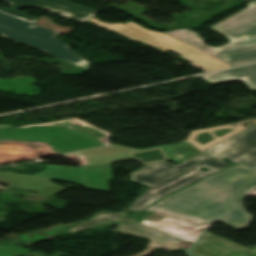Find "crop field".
Returning <instances> with one entry per match:
<instances>
[{
  "label": "crop field",
  "mask_w": 256,
  "mask_h": 256,
  "mask_svg": "<svg viewBox=\"0 0 256 256\" xmlns=\"http://www.w3.org/2000/svg\"><path fill=\"white\" fill-rule=\"evenodd\" d=\"M223 157L256 170V124L176 166L154 162L131 173L130 181L150 187L127 210L140 212L155 200L230 166L220 160ZM203 166L209 170H198Z\"/></svg>",
  "instance_id": "1"
},
{
  "label": "crop field",
  "mask_w": 256,
  "mask_h": 256,
  "mask_svg": "<svg viewBox=\"0 0 256 256\" xmlns=\"http://www.w3.org/2000/svg\"><path fill=\"white\" fill-rule=\"evenodd\" d=\"M9 3L11 7H0V11L11 16L23 19L30 23L36 21L35 18L18 12L24 8H42L78 21H86L96 15L98 11L87 9L76 4L61 0H1Z\"/></svg>",
  "instance_id": "7"
},
{
  "label": "crop field",
  "mask_w": 256,
  "mask_h": 256,
  "mask_svg": "<svg viewBox=\"0 0 256 256\" xmlns=\"http://www.w3.org/2000/svg\"><path fill=\"white\" fill-rule=\"evenodd\" d=\"M0 140L45 142L57 153L104 145L86 132L55 126H27L0 130Z\"/></svg>",
  "instance_id": "6"
},
{
  "label": "crop field",
  "mask_w": 256,
  "mask_h": 256,
  "mask_svg": "<svg viewBox=\"0 0 256 256\" xmlns=\"http://www.w3.org/2000/svg\"><path fill=\"white\" fill-rule=\"evenodd\" d=\"M230 125L192 131L187 141L167 145L189 142L196 146L207 149L212 145L232 136L236 132L245 129L240 124L234 127H231ZM63 156L66 158L76 157L85 164L81 165L80 168L46 165L47 169L35 174V176L83 185L86 186V189L108 191V180L112 179V162L130 158H135L137 160L140 158L138 161L145 164L154 161L167 160L151 148L137 150L119 145L63 154ZM124 156H126V158H124ZM84 182L86 183L84 184Z\"/></svg>",
  "instance_id": "2"
},
{
  "label": "crop field",
  "mask_w": 256,
  "mask_h": 256,
  "mask_svg": "<svg viewBox=\"0 0 256 256\" xmlns=\"http://www.w3.org/2000/svg\"><path fill=\"white\" fill-rule=\"evenodd\" d=\"M98 215H100V217H97ZM122 216H123V212L99 211L92 216L94 217V219H92L91 217L88 221L72 227L67 231V233H73L77 230L89 229L91 227H94L103 223L111 222V221H119Z\"/></svg>",
  "instance_id": "13"
},
{
  "label": "crop field",
  "mask_w": 256,
  "mask_h": 256,
  "mask_svg": "<svg viewBox=\"0 0 256 256\" xmlns=\"http://www.w3.org/2000/svg\"><path fill=\"white\" fill-rule=\"evenodd\" d=\"M211 29L229 38L230 42L213 48L206 46L200 35L188 29L166 33L231 66L256 62V1L249 2L246 10Z\"/></svg>",
  "instance_id": "4"
},
{
  "label": "crop field",
  "mask_w": 256,
  "mask_h": 256,
  "mask_svg": "<svg viewBox=\"0 0 256 256\" xmlns=\"http://www.w3.org/2000/svg\"><path fill=\"white\" fill-rule=\"evenodd\" d=\"M163 225L164 227L174 230L176 232L182 233L184 235H187L191 238H197L199 234L202 232V230H199L193 226H190L188 224H184L181 222H178L176 220H173L171 218L159 223Z\"/></svg>",
  "instance_id": "16"
},
{
  "label": "crop field",
  "mask_w": 256,
  "mask_h": 256,
  "mask_svg": "<svg viewBox=\"0 0 256 256\" xmlns=\"http://www.w3.org/2000/svg\"><path fill=\"white\" fill-rule=\"evenodd\" d=\"M254 216L248 214L242 204L239 205L234 210L230 211L226 215H224L222 218H220V221L225 222L229 226L239 230V229H245L251 222L252 218Z\"/></svg>",
  "instance_id": "14"
},
{
  "label": "crop field",
  "mask_w": 256,
  "mask_h": 256,
  "mask_svg": "<svg viewBox=\"0 0 256 256\" xmlns=\"http://www.w3.org/2000/svg\"><path fill=\"white\" fill-rule=\"evenodd\" d=\"M203 80L209 83L228 81V80H243L251 88L256 90V65L236 68L232 70L217 72L202 76Z\"/></svg>",
  "instance_id": "12"
},
{
  "label": "crop field",
  "mask_w": 256,
  "mask_h": 256,
  "mask_svg": "<svg viewBox=\"0 0 256 256\" xmlns=\"http://www.w3.org/2000/svg\"><path fill=\"white\" fill-rule=\"evenodd\" d=\"M255 184L256 172L241 164L161 199L152 207L210 225L238 204L243 192Z\"/></svg>",
  "instance_id": "3"
},
{
  "label": "crop field",
  "mask_w": 256,
  "mask_h": 256,
  "mask_svg": "<svg viewBox=\"0 0 256 256\" xmlns=\"http://www.w3.org/2000/svg\"><path fill=\"white\" fill-rule=\"evenodd\" d=\"M149 209L155 210V211H156L158 214H160V215L168 216V217H171V218H173V219L179 220V221H181V222L188 223V224H190V225H196V226H198V228H200V229H201V226H206V225L201 224V223H199V222H196V221H194V220L187 219V218H183V217H179V216L172 215V214H167V213H165V212H163V211H160V210L155 209V208H152V207H150Z\"/></svg>",
  "instance_id": "18"
},
{
  "label": "crop field",
  "mask_w": 256,
  "mask_h": 256,
  "mask_svg": "<svg viewBox=\"0 0 256 256\" xmlns=\"http://www.w3.org/2000/svg\"><path fill=\"white\" fill-rule=\"evenodd\" d=\"M0 34L7 39L23 43L55 57L70 61L85 70L89 69V62L75 52L69 51V46L55 38L59 34L8 16L2 12H0Z\"/></svg>",
  "instance_id": "5"
},
{
  "label": "crop field",
  "mask_w": 256,
  "mask_h": 256,
  "mask_svg": "<svg viewBox=\"0 0 256 256\" xmlns=\"http://www.w3.org/2000/svg\"><path fill=\"white\" fill-rule=\"evenodd\" d=\"M0 182L50 197L66 189L60 185L50 182L48 179L12 172L0 171Z\"/></svg>",
  "instance_id": "11"
},
{
  "label": "crop field",
  "mask_w": 256,
  "mask_h": 256,
  "mask_svg": "<svg viewBox=\"0 0 256 256\" xmlns=\"http://www.w3.org/2000/svg\"><path fill=\"white\" fill-rule=\"evenodd\" d=\"M189 253L192 256H256V249H247L204 232Z\"/></svg>",
  "instance_id": "9"
},
{
  "label": "crop field",
  "mask_w": 256,
  "mask_h": 256,
  "mask_svg": "<svg viewBox=\"0 0 256 256\" xmlns=\"http://www.w3.org/2000/svg\"><path fill=\"white\" fill-rule=\"evenodd\" d=\"M256 122V120H252V121H248V122H242V123H240L241 125H243V126H248V125H250V124H253V123H255Z\"/></svg>",
  "instance_id": "19"
},
{
  "label": "crop field",
  "mask_w": 256,
  "mask_h": 256,
  "mask_svg": "<svg viewBox=\"0 0 256 256\" xmlns=\"http://www.w3.org/2000/svg\"><path fill=\"white\" fill-rule=\"evenodd\" d=\"M56 155L45 143L0 141V164Z\"/></svg>",
  "instance_id": "10"
},
{
  "label": "crop field",
  "mask_w": 256,
  "mask_h": 256,
  "mask_svg": "<svg viewBox=\"0 0 256 256\" xmlns=\"http://www.w3.org/2000/svg\"><path fill=\"white\" fill-rule=\"evenodd\" d=\"M154 246H155V247H158V245H155V244H154Z\"/></svg>",
  "instance_id": "22"
},
{
  "label": "crop field",
  "mask_w": 256,
  "mask_h": 256,
  "mask_svg": "<svg viewBox=\"0 0 256 256\" xmlns=\"http://www.w3.org/2000/svg\"><path fill=\"white\" fill-rule=\"evenodd\" d=\"M119 233H130L135 236L144 237L150 239V245L146 249L145 252L137 255L142 256L154 249L152 247L154 243L159 244L161 248H164L163 245L165 241L176 243L175 248H164L168 250H174L178 247L179 241H192L195 239H191L187 236L181 235L179 233L173 232L164 228L159 224H149V223H139V224H121L118 228Z\"/></svg>",
  "instance_id": "8"
},
{
  "label": "crop field",
  "mask_w": 256,
  "mask_h": 256,
  "mask_svg": "<svg viewBox=\"0 0 256 256\" xmlns=\"http://www.w3.org/2000/svg\"><path fill=\"white\" fill-rule=\"evenodd\" d=\"M10 127H13V126H11V125H0V129L10 128Z\"/></svg>",
  "instance_id": "20"
},
{
  "label": "crop field",
  "mask_w": 256,
  "mask_h": 256,
  "mask_svg": "<svg viewBox=\"0 0 256 256\" xmlns=\"http://www.w3.org/2000/svg\"><path fill=\"white\" fill-rule=\"evenodd\" d=\"M28 251L29 249L25 247L0 245V256H17V255L25 254Z\"/></svg>",
  "instance_id": "17"
},
{
  "label": "crop field",
  "mask_w": 256,
  "mask_h": 256,
  "mask_svg": "<svg viewBox=\"0 0 256 256\" xmlns=\"http://www.w3.org/2000/svg\"><path fill=\"white\" fill-rule=\"evenodd\" d=\"M175 244H172V243H165V247H174Z\"/></svg>",
  "instance_id": "21"
},
{
  "label": "crop field",
  "mask_w": 256,
  "mask_h": 256,
  "mask_svg": "<svg viewBox=\"0 0 256 256\" xmlns=\"http://www.w3.org/2000/svg\"><path fill=\"white\" fill-rule=\"evenodd\" d=\"M41 125L68 126L69 128L74 129V130H83V131H86V132L90 133L91 135L95 136L100 141H102L104 144H106V145L108 144L106 136L109 134L96 129V128L84 123L83 121H81L79 119L55 122V123H48V124H41Z\"/></svg>",
  "instance_id": "15"
}]
</instances>
